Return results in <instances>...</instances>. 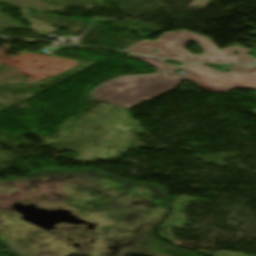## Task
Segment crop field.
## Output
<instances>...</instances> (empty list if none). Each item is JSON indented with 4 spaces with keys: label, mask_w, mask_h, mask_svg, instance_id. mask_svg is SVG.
Returning <instances> with one entry per match:
<instances>
[{
    "label": "crop field",
    "mask_w": 256,
    "mask_h": 256,
    "mask_svg": "<svg viewBox=\"0 0 256 256\" xmlns=\"http://www.w3.org/2000/svg\"><path fill=\"white\" fill-rule=\"evenodd\" d=\"M129 57L138 58L152 65L158 72L114 78L93 90L90 93L93 98L129 109L173 89L185 79L174 72L179 67L165 63L166 60L132 54H129Z\"/></svg>",
    "instance_id": "1"
},
{
    "label": "crop field",
    "mask_w": 256,
    "mask_h": 256,
    "mask_svg": "<svg viewBox=\"0 0 256 256\" xmlns=\"http://www.w3.org/2000/svg\"><path fill=\"white\" fill-rule=\"evenodd\" d=\"M188 41L199 44L203 50L202 55L188 53L184 48ZM152 49L158 50L156 54L151 52ZM233 50H237L240 56H235L232 52ZM246 50L248 51L245 52V49L240 47H229L218 51V47L213 45L210 39L189 31L165 33L156 42L145 40L140 44L125 49V51L134 53L139 52L150 56L188 62L256 63L254 58L247 55L250 50Z\"/></svg>",
    "instance_id": "2"
},
{
    "label": "crop field",
    "mask_w": 256,
    "mask_h": 256,
    "mask_svg": "<svg viewBox=\"0 0 256 256\" xmlns=\"http://www.w3.org/2000/svg\"><path fill=\"white\" fill-rule=\"evenodd\" d=\"M180 70L186 72V79L213 93H229L237 88L256 90V66L236 65L231 73H221L205 65L185 64Z\"/></svg>",
    "instance_id": "3"
}]
</instances>
